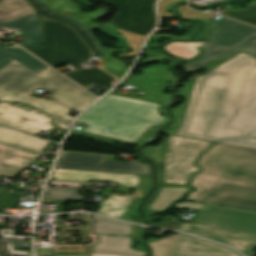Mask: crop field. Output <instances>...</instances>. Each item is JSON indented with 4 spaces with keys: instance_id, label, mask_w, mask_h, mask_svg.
I'll return each mask as SVG.
<instances>
[{
    "instance_id": "crop-field-1",
    "label": "crop field",
    "mask_w": 256,
    "mask_h": 256,
    "mask_svg": "<svg viewBox=\"0 0 256 256\" xmlns=\"http://www.w3.org/2000/svg\"><path fill=\"white\" fill-rule=\"evenodd\" d=\"M177 135L256 149V58L242 52L199 77Z\"/></svg>"
},
{
    "instance_id": "crop-field-2",
    "label": "crop field",
    "mask_w": 256,
    "mask_h": 256,
    "mask_svg": "<svg viewBox=\"0 0 256 256\" xmlns=\"http://www.w3.org/2000/svg\"><path fill=\"white\" fill-rule=\"evenodd\" d=\"M196 166L187 201L256 212V150L215 143Z\"/></svg>"
},
{
    "instance_id": "crop-field-3",
    "label": "crop field",
    "mask_w": 256,
    "mask_h": 256,
    "mask_svg": "<svg viewBox=\"0 0 256 256\" xmlns=\"http://www.w3.org/2000/svg\"><path fill=\"white\" fill-rule=\"evenodd\" d=\"M56 72L48 67L36 75L13 60L0 70V100L28 103L53 115L54 124L66 130L74 119L66 115L70 109L46 98L32 97L33 91L40 88L52 95L49 99L79 112L96 97Z\"/></svg>"
},
{
    "instance_id": "crop-field-4",
    "label": "crop field",
    "mask_w": 256,
    "mask_h": 256,
    "mask_svg": "<svg viewBox=\"0 0 256 256\" xmlns=\"http://www.w3.org/2000/svg\"><path fill=\"white\" fill-rule=\"evenodd\" d=\"M160 109V104L108 95L77 120L87 123L92 129L71 131L94 139L141 145L151 140L161 125L169 122L160 114Z\"/></svg>"
},
{
    "instance_id": "crop-field-5",
    "label": "crop field",
    "mask_w": 256,
    "mask_h": 256,
    "mask_svg": "<svg viewBox=\"0 0 256 256\" xmlns=\"http://www.w3.org/2000/svg\"><path fill=\"white\" fill-rule=\"evenodd\" d=\"M176 208L199 210L187 231L229 245L247 256L256 248V214L201 204H175Z\"/></svg>"
},
{
    "instance_id": "crop-field-6",
    "label": "crop field",
    "mask_w": 256,
    "mask_h": 256,
    "mask_svg": "<svg viewBox=\"0 0 256 256\" xmlns=\"http://www.w3.org/2000/svg\"><path fill=\"white\" fill-rule=\"evenodd\" d=\"M256 42V28L221 17L212 23L208 41L177 42L165 47L169 53L187 59L186 72L205 68L206 64L232 55Z\"/></svg>"
},
{
    "instance_id": "crop-field-7",
    "label": "crop field",
    "mask_w": 256,
    "mask_h": 256,
    "mask_svg": "<svg viewBox=\"0 0 256 256\" xmlns=\"http://www.w3.org/2000/svg\"><path fill=\"white\" fill-rule=\"evenodd\" d=\"M31 5L45 17L63 22L74 30L85 41L88 47L98 56L97 62H102L105 66L100 67L111 75L121 78L127 69L120 59L113 58L112 53L126 50V48L113 49L105 46L97 47L98 40L91 33L92 29H98L92 19L103 15L102 9L94 12H82L71 0H28ZM93 56V57H94Z\"/></svg>"
},
{
    "instance_id": "crop-field-8",
    "label": "crop field",
    "mask_w": 256,
    "mask_h": 256,
    "mask_svg": "<svg viewBox=\"0 0 256 256\" xmlns=\"http://www.w3.org/2000/svg\"><path fill=\"white\" fill-rule=\"evenodd\" d=\"M41 30L43 45L29 52L50 66L71 62L80 69L79 63L91 57V52L68 26L41 17Z\"/></svg>"
},
{
    "instance_id": "crop-field-9",
    "label": "crop field",
    "mask_w": 256,
    "mask_h": 256,
    "mask_svg": "<svg viewBox=\"0 0 256 256\" xmlns=\"http://www.w3.org/2000/svg\"><path fill=\"white\" fill-rule=\"evenodd\" d=\"M54 178H57L56 180L73 182L110 180L113 182H120L121 186L134 187L138 190H147L150 181V176L63 169H53L50 179L54 180ZM138 190L134 193V196L104 192V194L110 195L101 205L102 210L95 212L111 217H118L125 214L127 211L134 209L136 205L135 200L143 194V192ZM116 195H124V197Z\"/></svg>"
},
{
    "instance_id": "crop-field-10",
    "label": "crop field",
    "mask_w": 256,
    "mask_h": 256,
    "mask_svg": "<svg viewBox=\"0 0 256 256\" xmlns=\"http://www.w3.org/2000/svg\"><path fill=\"white\" fill-rule=\"evenodd\" d=\"M213 143L171 135L164 167V182L186 185L190 175L199 172L197 157Z\"/></svg>"
},
{
    "instance_id": "crop-field-11",
    "label": "crop field",
    "mask_w": 256,
    "mask_h": 256,
    "mask_svg": "<svg viewBox=\"0 0 256 256\" xmlns=\"http://www.w3.org/2000/svg\"><path fill=\"white\" fill-rule=\"evenodd\" d=\"M118 7L119 13L110 22L117 29L146 37L156 24V0H100Z\"/></svg>"
},
{
    "instance_id": "crop-field-12",
    "label": "crop field",
    "mask_w": 256,
    "mask_h": 256,
    "mask_svg": "<svg viewBox=\"0 0 256 256\" xmlns=\"http://www.w3.org/2000/svg\"><path fill=\"white\" fill-rule=\"evenodd\" d=\"M107 157L61 152L55 168L150 175L148 164L108 161Z\"/></svg>"
},
{
    "instance_id": "crop-field-13",
    "label": "crop field",
    "mask_w": 256,
    "mask_h": 256,
    "mask_svg": "<svg viewBox=\"0 0 256 256\" xmlns=\"http://www.w3.org/2000/svg\"><path fill=\"white\" fill-rule=\"evenodd\" d=\"M51 119L31 106L0 102V123L6 126L35 135L57 128Z\"/></svg>"
},
{
    "instance_id": "crop-field-14",
    "label": "crop field",
    "mask_w": 256,
    "mask_h": 256,
    "mask_svg": "<svg viewBox=\"0 0 256 256\" xmlns=\"http://www.w3.org/2000/svg\"><path fill=\"white\" fill-rule=\"evenodd\" d=\"M163 65L144 69L139 76L130 75L124 84L136 86L144 95L126 92L123 96L159 103L163 98V87L169 76L163 71Z\"/></svg>"
},
{
    "instance_id": "crop-field-15",
    "label": "crop field",
    "mask_w": 256,
    "mask_h": 256,
    "mask_svg": "<svg viewBox=\"0 0 256 256\" xmlns=\"http://www.w3.org/2000/svg\"><path fill=\"white\" fill-rule=\"evenodd\" d=\"M174 256H241L234 250L205 241L183 237Z\"/></svg>"
},
{
    "instance_id": "crop-field-16",
    "label": "crop field",
    "mask_w": 256,
    "mask_h": 256,
    "mask_svg": "<svg viewBox=\"0 0 256 256\" xmlns=\"http://www.w3.org/2000/svg\"><path fill=\"white\" fill-rule=\"evenodd\" d=\"M40 155L0 143V172L17 176Z\"/></svg>"
},
{
    "instance_id": "crop-field-17",
    "label": "crop field",
    "mask_w": 256,
    "mask_h": 256,
    "mask_svg": "<svg viewBox=\"0 0 256 256\" xmlns=\"http://www.w3.org/2000/svg\"><path fill=\"white\" fill-rule=\"evenodd\" d=\"M0 27H4L7 30H22L26 35L23 39L24 42L19 45L23 48L31 49L42 44L40 17L35 13L1 23Z\"/></svg>"
},
{
    "instance_id": "crop-field-18",
    "label": "crop field",
    "mask_w": 256,
    "mask_h": 256,
    "mask_svg": "<svg viewBox=\"0 0 256 256\" xmlns=\"http://www.w3.org/2000/svg\"><path fill=\"white\" fill-rule=\"evenodd\" d=\"M0 142L42 155L49 141L0 126Z\"/></svg>"
},
{
    "instance_id": "crop-field-19",
    "label": "crop field",
    "mask_w": 256,
    "mask_h": 256,
    "mask_svg": "<svg viewBox=\"0 0 256 256\" xmlns=\"http://www.w3.org/2000/svg\"><path fill=\"white\" fill-rule=\"evenodd\" d=\"M131 240L132 237L99 235V243L94 245V253L123 256H144V252L136 251L131 248Z\"/></svg>"
},
{
    "instance_id": "crop-field-20",
    "label": "crop field",
    "mask_w": 256,
    "mask_h": 256,
    "mask_svg": "<svg viewBox=\"0 0 256 256\" xmlns=\"http://www.w3.org/2000/svg\"><path fill=\"white\" fill-rule=\"evenodd\" d=\"M13 59L37 74L44 70L46 67H48L32 55L28 54L27 52L15 45L6 49L0 46V69H2Z\"/></svg>"
},
{
    "instance_id": "crop-field-21",
    "label": "crop field",
    "mask_w": 256,
    "mask_h": 256,
    "mask_svg": "<svg viewBox=\"0 0 256 256\" xmlns=\"http://www.w3.org/2000/svg\"><path fill=\"white\" fill-rule=\"evenodd\" d=\"M91 217L94 221L93 233L124 236H140L142 233V227L94 215H91Z\"/></svg>"
},
{
    "instance_id": "crop-field-22",
    "label": "crop field",
    "mask_w": 256,
    "mask_h": 256,
    "mask_svg": "<svg viewBox=\"0 0 256 256\" xmlns=\"http://www.w3.org/2000/svg\"><path fill=\"white\" fill-rule=\"evenodd\" d=\"M187 190H189L188 186L164 183L156 200L147 210L146 215L166 210L173 203L172 201L183 196Z\"/></svg>"
},
{
    "instance_id": "crop-field-23",
    "label": "crop field",
    "mask_w": 256,
    "mask_h": 256,
    "mask_svg": "<svg viewBox=\"0 0 256 256\" xmlns=\"http://www.w3.org/2000/svg\"><path fill=\"white\" fill-rule=\"evenodd\" d=\"M236 55H234V56H236ZM234 56H232L230 58H227L225 60H222V61L215 62V63L211 64V68L207 72L214 69L218 65L224 63L225 61L233 58ZM206 73H204V74H206ZM204 74H202V75H204ZM202 75H198V76H194V77L190 78L188 80L187 84L184 85L182 88H180L178 90L179 95L185 97L186 100L184 101L183 104H181L179 107H177L176 109L173 110V112L176 116V123L173 124L172 126H170L169 128H167L164 131L165 133L176 135L177 131L179 130V128L182 124V121H183V118H184V115H185V111H186V108H187V105H188V102H189V99H190V96H191V93H192V90H193L194 83H195L197 77L202 76Z\"/></svg>"
},
{
    "instance_id": "crop-field-24",
    "label": "crop field",
    "mask_w": 256,
    "mask_h": 256,
    "mask_svg": "<svg viewBox=\"0 0 256 256\" xmlns=\"http://www.w3.org/2000/svg\"><path fill=\"white\" fill-rule=\"evenodd\" d=\"M65 74L84 88L89 84L94 83L107 90L111 86H113L111 83L115 80L114 77L110 76L109 74L103 72L100 69L81 70Z\"/></svg>"
},
{
    "instance_id": "crop-field-25",
    "label": "crop field",
    "mask_w": 256,
    "mask_h": 256,
    "mask_svg": "<svg viewBox=\"0 0 256 256\" xmlns=\"http://www.w3.org/2000/svg\"><path fill=\"white\" fill-rule=\"evenodd\" d=\"M33 12L25 0H0V23Z\"/></svg>"
},
{
    "instance_id": "crop-field-26",
    "label": "crop field",
    "mask_w": 256,
    "mask_h": 256,
    "mask_svg": "<svg viewBox=\"0 0 256 256\" xmlns=\"http://www.w3.org/2000/svg\"><path fill=\"white\" fill-rule=\"evenodd\" d=\"M182 237V234H178L157 242L149 243V245H151L153 248V256H173Z\"/></svg>"
},
{
    "instance_id": "crop-field-27",
    "label": "crop field",
    "mask_w": 256,
    "mask_h": 256,
    "mask_svg": "<svg viewBox=\"0 0 256 256\" xmlns=\"http://www.w3.org/2000/svg\"><path fill=\"white\" fill-rule=\"evenodd\" d=\"M76 189H63L47 187L43 198L47 199H61V200H77L83 201L85 197L80 196Z\"/></svg>"
},
{
    "instance_id": "crop-field-28",
    "label": "crop field",
    "mask_w": 256,
    "mask_h": 256,
    "mask_svg": "<svg viewBox=\"0 0 256 256\" xmlns=\"http://www.w3.org/2000/svg\"><path fill=\"white\" fill-rule=\"evenodd\" d=\"M227 17L256 25V1L244 9H229L224 14Z\"/></svg>"
},
{
    "instance_id": "crop-field-29",
    "label": "crop field",
    "mask_w": 256,
    "mask_h": 256,
    "mask_svg": "<svg viewBox=\"0 0 256 256\" xmlns=\"http://www.w3.org/2000/svg\"><path fill=\"white\" fill-rule=\"evenodd\" d=\"M170 136V135H169ZM168 138L159 146V148L150 146L148 148L143 149V153L150 157L155 159L157 162H162L164 164L165 160V154H166V149H167V144H168Z\"/></svg>"
},
{
    "instance_id": "crop-field-30",
    "label": "crop field",
    "mask_w": 256,
    "mask_h": 256,
    "mask_svg": "<svg viewBox=\"0 0 256 256\" xmlns=\"http://www.w3.org/2000/svg\"><path fill=\"white\" fill-rule=\"evenodd\" d=\"M187 9L186 6L180 7L178 10L180 11L183 18H200V19H213L214 15L212 14H206L194 10H188L187 12H182L183 10Z\"/></svg>"
},
{
    "instance_id": "crop-field-31",
    "label": "crop field",
    "mask_w": 256,
    "mask_h": 256,
    "mask_svg": "<svg viewBox=\"0 0 256 256\" xmlns=\"http://www.w3.org/2000/svg\"><path fill=\"white\" fill-rule=\"evenodd\" d=\"M119 31L122 35L128 37V43L134 48L133 53L137 54L144 37L121 30Z\"/></svg>"
},
{
    "instance_id": "crop-field-32",
    "label": "crop field",
    "mask_w": 256,
    "mask_h": 256,
    "mask_svg": "<svg viewBox=\"0 0 256 256\" xmlns=\"http://www.w3.org/2000/svg\"><path fill=\"white\" fill-rule=\"evenodd\" d=\"M164 71L171 77L170 80H169V81H171L170 84H166L165 86H166L167 88H168L169 86L172 87L173 84L176 82V76H175L172 72L168 71V70L166 69V67H165ZM167 82H168V81H167ZM171 87H170V88H171ZM164 88H165V87H164ZM168 91H170V89H169ZM171 102H173V96H170V95H168V94L165 93L164 98H163V100L161 101L160 104L168 105V104H170Z\"/></svg>"
},
{
    "instance_id": "crop-field-33",
    "label": "crop field",
    "mask_w": 256,
    "mask_h": 256,
    "mask_svg": "<svg viewBox=\"0 0 256 256\" xmlns=\"http://www.w3.org/2000/svg\"><path fill=\"white\" fill-rule=\"evenodd\" d=\"M19 201V196L6 194L1 207H16Z\"/></svg>"
},
{
    "instance_id": "crop-field-34",
    "label": "crop field",
    "mask_w": 256,
    "mask_h": 256,
    "mask_svg": "<svg viewBox=\"0 0 256 256\" xmlns=\"http://www.w3.org/2000/svg\"><path fill=\"white\" fill-rule=\"evenodd\" d=\"M37 256H91V255H52V249H35Z\"/></svg>"
},
{
    "instance_id": "crop-field-35",
    "label": "crop field",
    "mask_w": 256,
    "mask_h": 256,
    "mask_svg": "<svg viewBox=\"0 0 256 256\" xmlns=\"http://www.w3.org/2000/svg\"><path fill=\"white\" fill-rule=\"evenodd\" d=\"M172 1H174V0H161V2H160V12H161V16L163 18H165V17H173V15L171 13H167V12L164 11V6L167 3H170Z\"/></svg>"
},
{
    "instance_id": "crop-field-36",
    "label": "crop field",
    "mask_w": 256,
    "mask_h": 256,
    "mask_svg": "<svg viewBox=\"0 0 256 256\" xmlns=\"http://www.w3.org/2000/svg\"><path fill=\"white\" fill-rule=\"evenodd\" d=\"M49 185L63 186V187H73V188H79V186H80V184H75V183H63V182H50Z\"/></svg>"
},
{
    "instance_id": "crop-field-37",
    "label": "crop field",
    "mask_w": 256,
    "mask_h": 256,
    "mask_svg": "<svg viewBox=\"0 0 256 256\" xmlns=\"http://www.w3.org/2000/svg\"><path fill=\"white\" fill-rule=\"evenodd\" d=\"M245 52L256 56V44L254 46H252L251 48L247 49Z\"/></svg>"
},
{
    "instance_id": "crop-field-38",
    "label": "crop field",
    "mask_w": 256,
    "mask_h": 256,
    "mask_svg": "<svg viewBox=\"0 0 256 256\" xmlns=\"http://www.w3.org/2000/svg\"><path fill=\"white\" fill-rule=\"evenodd\" d=\"M4 195H5V194L0 193V204H1V202H2V199H3Z\"/></svg>"
},
{
    "instance_id": "crop-field-39",
    "label": "crop field",
    "mask_w": 256,
    "mask_h": 256,
    "mask_svg": "<svg viewBox=\"0 0 256 256\" xmlns=\"http://www.w3.org/2000/svg\"><path fill=\"white\" fill-rule=\"evenodd\" d=\"M92 256H108V255H98V254H92Z\"/></svg>"
}]
</instances>
